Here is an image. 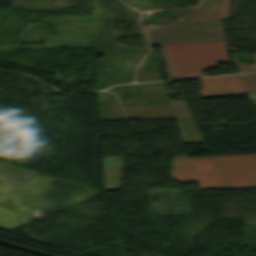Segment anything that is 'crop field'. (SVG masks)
Listing matches in <instances>:
<instances>
[{
	"mask_svg": "<svg viewBox=\"0 0 256 256\" xmlns=\"http://www.w3.org/2000/svg\"><path fill=\"white\" fill-rule=\"evenodd\" d=\"M254 106H256V105H254Z\"/></svg>",
	"mask_w": 256,
	"mask_h": 256,
	"instance_id": "obj_12",
	"label": "crop field"
},
{
	"mask_svg": "<svg viewBox=\"0 0 256 256\" xmlns=\"http://www.w3.org/2000/svg\"><path fill=\"white\" fill-rule=\"evenodd\" d=\"M214 159L229 188L256 187V155Z\"/></svg>",
	"mask_w": 256,
	"mask_h": 256,
	"instance_id": "obj_4",
	"label": "crop field"
},
{
	"mask_svg": "<svg viewBox=\"0 0 256 256\" xmlns=\"http://www.w3.org/2000/svg\"><path fill=\"white\" fill-rule=\"evenodd\" d=\"M251 100L256 104V93L254 94H249Z\"/></svg>",
	"mask_w": 256,
	"mask_h": 256,
	"instance_id": "obj_11",
	"label": "crop field"
},
{
	"mask_svg": "<svg viewBox=\"0 0 256 256\" xmlns=\"http://www.w3.org/2000/svg\"><path fill=\"white\" fill-rule=\"evenodd\" d=\"M163 48L170 79L203 75L202 71L207 68L229 63L224 41L168 45Z\"/></svg>",
	"mask_w": 256,
	"mask_h": 256,
	"instance_id": "obj_1",
	"label": "crop field"
},
{
	"mask_svg": "<svg viewBox=\"0 0 256 256\" xmlns=\"http://www.w3.org/2000/svg\"><path fill=\"white\" fill-rule=\"evenodd\" d=\"M143 27L152 45L224 39L220 19Z\"/></svg>",
	"mask_w": 256,
	"mask_h": 256,
	"instance_id": "obj_2",
	"label": "crop field"
},
{
	"mask_svg": "<svg viewBox=\"0 0 256 256\" xmlns=\"http://www.w3.org/2000/svg\"><path fill=\"white\" fill-rule=\"evenodd\" d=\"M230 0H200L192 8L190 21L227 18Z\"/></svg>",
	"mask_w": 256,
	"mask_h": 256,
	"instance_id": "obj_7",
	"label": "crop field"
},
{
	"mask_svg": "<svg viewBox=\"0 0 256 256\" xmlns=\"http://www.w3.org/2000/svg\"><path fill=\"white\" fill-rule=\"evenodd\" d=\"M254 59L256 60V54H253ZM237 61V60H236ZM242 73L244 72H251V71H256V64L255 65H247V64H243L239 61H237Z\"/></svg>",
	"mask_w": 256,
	"mask_h": 256,
	"instance_id": "obj_10",
	"label": "crop field"
},
{
	"mask_svg": "<svg viewBox=\"0 0 256 256\" xmlns=\"http://www.w3.org/2000/svg\"><path fill=\"white\" fill-rule=\"evenodd\" d=\"M247 91H256V74L240 75Z\"/></svg>",
	"mask_w": 256,
	"mask_h": 256,
	"instance_id": "obj_9",
	"label": "crop field"
},
{
	"mask_svg": "<svg viewBox=\"0 0 256 256\" xmlns=\"http://www.w3.org/2000/svg\"><path fill=\"white\" fill-rule=\"evenodd\" d=\"M200 81L205 89L200 91L202 97L246 93L239 75L205 78Z\"/></svg>",
	"mask_w": 256,
	"mask_h": 256,
	"instance_id": "obj_5",
	"label": "crop field"
},
{
	"mask_svg": "<svg viewBox=\"0 0 256 256\" xmlns=\"http://www.w3.org/2000/svg\"><path fill=\"white\" fill-rule=\"evenodd\" d=\"M184 143L204 142L184 101H170Z\"/></svg>",
	"mask_w": 256,
	"mask_h": 256,
	"instance_id": "obj_6",
	"label": "crop field"
},
{
	"mask_svg": "<svg viewBox=\"0 0 256 256\" xmlns=\"http://www.w3.org/2000/svg\"><path fill=\"white\" fill-rule=\"evenodd\" d=\"M172 178L181 182H198L201 189L227 188L212 158L176 157Z\"/></svg>",
	"mask_w": 256,
	"mask_h": 256,
	"instance_id": "obj_3",
	"label": "crop field"
},
{
	"mask_svg": "<svg viewBox=\"0 0 256 256\" xmlns=\"http://www.w3.org/2000/svg\"><path fill=\"white\" fill-rule=\"evenodd\" d=\"M123 164L118 157L103 158L105 190L121 187Z\"/></svg>",
	"mask_w": 256,
	"mask_h": 256,
	"instance_id": "obj_8",
	"label": "crop field"
}]
</instances>
